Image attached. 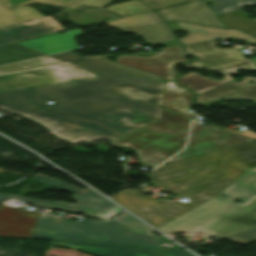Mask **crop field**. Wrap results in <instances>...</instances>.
<instances>
[{"instance_id":"26","label":"crop field","mask_w":256,"mask_h":256,"mask_svg":"<svg viewBox=\"0 0 256 256\" xmlns=\"http://www.w3.org/2000/svg\"><path fill=\"white\" fill-rule=\"evenodd\" d=\"M38 56L43 55L31 52L16 44H9L0 47V65Z\"/></svg>"},{"instance_id":"18","label":"crop field","mask_w":256,"mask_h":256,"mask_svg":"<svg viewBox=\"0 0 256 256\" xmlns=\"http://www.w3.org/2000/svg\"><path fill=\"white\" fill-rule=\"evenodd\" d=\"M51 246H64L98 256H156L138 248L117 245L52 241Z\"/></svg>"},{"instance_id":"16","label":"crop field","mask_w":256,"mask_h":256,"mask_svg":"<svg viewBox=\"0 0 256 256\" xmlns=\"http://www.w3.org/2000/svg\"><path fill=\"white\" fill-rule=\"evenodd\" d=\"M240 83L235 81L196 96V105H209L219 100L245 99L256 103V77L243 76ZM251 79L254 83L249 84Z\"/></svg>"},{"instance_id":"34","label":"crop field","mask_w":256,"mask_h":256,"mask_svg":"<svg viewBox=\"0 0 256 256\" xmlns=\"http://www.w3.org/2000/svg\"><path fill=\"white\" fill-rule=\"evenodd\" d=\"M227 30L230 32V34H231L233 37H235V38H237V39L247 40V41H249V42H251V43H253V44L256 43V39H255V38H253V37H251V36H249V35H247V34L241 32V31H239V30H237V29H227Z\"/></svg>"},{"instance_id":"19","label":"crop field","mask_w":256,"mask_h":256,"mask_svg":"<svg viewBox=\"0 0 256 256\" xmlns=\"http://www.w3.org/2000/svg\"><path fill=\"white\" fill-rule=\"evenodd\" d=\"M152 22L121 28L124 31H129L142 36L146 41L154 44L167 40L175 39L167 26L161 21L155 12L151 11L144 13Z\"/></svg>"},{"instance_id":"7","label":"crop field","mask_w":256,"mask_h":256,"mask_svg":"<svg viewBox=\"0 0 256 256\" xmlns=\"http://www.w3.org/2000/svg\"><path fill=\"white\" fill-rule=\"evenodd\" d=\"M96 76L73 64L0 75V91Z\"/></svg>"},{"instance_id":"40","label":"crop field","mask_w":256,"mask_h":256,"mask_svg":"<svg viewBox=\"0 0 256 256\" xmlns=\"http://www.w3.org/2000/svg\"><path fill=\"white\" fill-rule=\"evenodd\" d=\"M253 60V62L256 64V58H254V59H252Z\"/></svg>"},{"instance_id":"5","label":"crop field","mask_w":256,"mask_h":256,"mask_svg":"<svg viewBox=\"0 0 256 256\" xmlns=\"http://www.w3.org/2000/svg\"><path fill=\"white\" fill-rule=\"evenodd\" d=\"M211 45L214 46V40L187 44L184 45V47L187 52ZM189 54L196 56L198 60L185 64L186 68L217 70L225 75L223 81L212 80L194 72H190L186 76H180L178 84L194 90L196 95L233 81L234 79L228 74H237L238 72L236 71V68L256 71V66L253 64L252 60L244 59V55L239 49H218L214 46L189 52Z\"/></svg>"},{"instance_id":"6","label":"crop field","mask_w":256,"mask_h":256,"mask_svg":"<svg viewBox=\"0 0 256 256\" xmlns=\"http://www.w3.org/2000/svg\"><path fill=\"white\" fill-rule=\"evenodd\" d=\"M32 180H35L43 184L74 194L73 196H71V198L75 200L79 205H70L68 203H63V202H47V201H41L36 199L17 197L15 195L5 194V193H0V201L3 200L5 197H8V198H13L18 200H24V201H27L29 204L38 206V207H43L47 209L54 208V209L76 212V213L83 214L86 217L102 219V220L110 219L114 215L123 211L88 188L83 190L40 174H37ZM94 198H98V199L95 200Z\"/></svg>"},{"instance_id":"30","label":"crop field","mask_w":256,"mask_h":256,"mask_svg":"<svg viewBox=\"0 0 256 256\" xmlns=\"http://www.w3.org/2000/svg\"><path fill=\"white\" fill-rule=\"evenodd\" d=\"M139 248L161 255V256H193L189 252L182 249L147 248V247H139Z\"/></svg>"},{"instance_id":"17","label":"crop field","mask_w":256,"mask_h":256,"mask_svg":"<svg viewBox=\"0 0 256 256\" xmlns=\"http://www.w3.org/2000/svg\"><path fill=\"white\" fill-rule=\"evenodd\" d=\"M78 34H82V31L80 29H73L64 34H53L18 43L29 49L50 54L78 48L74 40V36Z\"/></svg>"},{"instance_id":"38","label":"crop field","mask_w":256,"mask_h":256,"mask_svg":"<svg viewBox=\"0 0 256 256\" xmlns=\"http://www.w3.org/2000/svg\"><path fill=\"white\" fill-rule=\"evenodd\" d=\"M7 200H9L8 198H5L3 201H1L0 203H4L6 202Z\"/></svg>"},{"instance_id":"9","label":"crop field","mask_w":256,"mask_h":256,"mask_svg":"<svg viewBox=\"0 0 256 256\" xmlns=\"http://www.w3.org/2000/svg\"><path fill=\"white\" fill-rule=\"evenodd\" d=\"M224 133H227V138L226 140H221L217 135ZM250 141L254 140L225 132L212 125H203L193 122L187 147L167 162Z\"/></svg>"},{"instance_id":"10","label":"crop field","mask_w":256,"mask_h":256,"mask_svg":"<svg viewBox=\"0 0 256 256\" xmlns=\"http://www.w3.org/2000/svg\"><path fill=\"white\" fill-rule=\"evenodd\" d=\"M163 53L182 52L181 46L161 49ZM116 62L134 69L152 73L162 77L164 81L176 80L177 72L173 70L176 63L186 62L182 54L156 55L155 57L141 58L139 56H119Z\"/></svg>"},{"instance_id":"12","label":"crop field","mask_w":256,"mask_h":256,"mask_svg":"<svg viewBox=\"0 0 256 256\" xmlns=\"http://www.w3.org/2000/svg\"><path fill=\"white\" fill-rule=\"evenodd\" d=\"M39 212L0 206V236L32 237Z\"/></svg>"},{"instance_id":"14","label":"crop field","mask_w":256,"mask_h":256,"mask_svg":"<svg viewBox=\"0 0 256 256\" xmlns=\"http://www.w3.org/2000/svg\"><path fill=\"white\" fill-rule=\"evenodd\" d=\"M157 12L164 21H184L224 27L203 0L158 10Z\"/></svg>"},{"instance_id":"20","label":"crop field","mask_w":256,"mask_h":256,"mask_svg":"<svg viewBox=\"0 0 256 256\" xmlns=\"http://www.w3.org/2000/svg\"><path fill=\"white\" fill-rule=\"evenodd\" d=\"M192 97L190 90L176 86L175 82L165 83L162 107L193 117L189 113V101Z\"/></svg>"},{"instance_id":"4","label":"crop field","mask_w":256,"mask_h":256,"mask_svg":"<svg viewBox=\"0 0 256 256\" xmlns=\"http://www.w3.org/2000/svg\"><path fill=\"white\" fill-rule=\"evenodd\" d=\"M191 119L162 108L160 120L111 141L110 145L129 146L136 151L139 164L154 168L184 146Z\"/></svg>"},{"instance_id":"32","label":"crop field","mask_w":256,"mask_h":256,"mask_svg":"<svg viewBox=\"0 0 256 256\" xmlns=\"http://www.w3.org/2000/svg\"><path fill=\"white\" fill-rule=\"evenodd\" d=\"M147 4L151 5L155 9L168 7L176 4H181L185 2H192L196 0H143Z\"/></svg>"},{"instance_id":"15","label":"crop field","mask_w":256,"mask_h":256,"mask_svg":"<svg viewBox=\"0 0 256 256\" xmlns=\"http://www.w3.org/2000/svg\"><path fill=\"white\" fill-rule=\"evenodd\" d=\"M64 29L51 16L0 28V46Z\"/></svg>"},{"instance_id":"28","label":"crop field","mask_w":256,"mask_h":256,"mask_svg":"<svg viewBox=\"0 0 256 256\" xmlns=\"http://www.w3.org/2000/svg\"><path fill=\"white\" fill-rule=\"evenodd\" d=\"M105 10L111 11L120 17H126V16H131V15L151 11V9H149L148 7H146L145 5H143L142 3L136 0L113 5L106 8Z\"/></svg>"},{"instance_id":"35","label":"crop field","mask_w":256,"mask_h":256,"mask_svg":"<svg viewBox=\"0 0 256 256\" xmlns=\"http://www.w3.org/2000/svg\"><path fill=\"white\" fill-rule=\"evenodd\" d=\"M223 129L230 130V131H233V132L245 135L247 137H254V138H256V133L246 132V131H242V130H231L229 128H223Z\"/></svg>"},{"instance_id":"23","label":"crop field","mask_w":256,"mask_h":256,"mask_svg":"<svg viewBox=\"0 0 256 256\" xmlns=\"http://www.w3.org/2000/svg\"><path fill=\"white\" fill-rule=\"evenodd\" d=\"M184 30L190 32L189 38L181 39L183 44L231 36L225 29H214L184 23H178Z\"/></svg>"},{"instance_id":"1","label":"crop field","mask_w":256,"mask_h":256,"mask_svg":"<svg viewBox=\"0 0 256 256\" xmlns=\"http://www.w3.org/2000/svg\"><path fill=\"white\" fill-rule=\"evenodd\" d=\"M163 86L122 74L97 76L1 92L0 107L71 142L114 140L160 118Z\"/></svg>"},{"instance_id":"37","label":"crop field","mask_w":256,"mask_h":256,"mask_svg":"<svg viewBox=\"0 0 256 256\" xmlns=\"http://www.w3.org/2000/svg\"><path fill=\"white\" fill-rule=\"evenodd\" d=\"M160 45L164 47H168V46L180 45V42L178 40H175V41H171V42L160 44Z\"/></svg>"},{"instance_id":"39","label":"crop field","mask_w":256,"mask_h":256,"mask_svg":"<svg viewBox=\"0 0 256 256\" xmlns=\"http://www.w3.org/2000/svg\"><path fill=\"white\" fill-rule=\"evenodd\" d=\"M4 171H5V170L0 169V175H2Z\"/></svg>"},{"instance_id":"2","label":"crop field","mask_w":256,"mask_h":256,"mask_svg":"<svg viewBox=\"0 0 256 256\" xmlns=\"http://www.w3.org/2000/svg\"><path fill=\"white\" fill-rule=\"evenodd\" d=\"M254 166L256 141L165 163L148 174L161 186V191H176L189 198L193 202L191 205L142 197L135 189L123 190L112 200L157 228L219 194ZM172 186L176 187L171 189ZM201 194L205 196L200 197Z\"/></svg>"},{"instance_id":"36","label":"crop field","mask_w":256,"mask_h":256,"mask_svg":"<svg viewBox=\"0 0 256 256\" xmlns=\"http://www.w3.org/2000/svg\"><path fill=\"white\" fill-rule=\"evenodd\" d=\"M173 32L183 31V29L176 22H168L167 23Z\"/></svg>"},{"instance_id":"33","label":"crop field","mask_w":256,"mask_h":256,"mask_svg":"<svg viewBox=\"0 0 256 256\" xmlns=\"http://www.w3.org/2000/svg\"><path fill=\"white\" fill-rule=\"evenodd\" d=\"M52 56L63 59V60H66V61H70V62H78V61H86V60H90V59H102L104 57H108V56H112V55L82 58V57L74 55L72 52L69 51V52L56 54V55H52Z\"/></svg>"},{"instance_id":"11","label":"crop field","mask_w":256,"mask_h":256,"mask_svg":"<svg viewBox=\"0 0 256 256\" xmlns=\"http://www.w3.org/2000/svg\"><path fill=\"white\" fill-rule=\"evenodd\" d=\"M254 226H256V196L247 204L239 206L199 231L227 238Z\"/></svg>"},{"instance_id":"24","label":"crop field","mask_w":256,"mask_h":256,"mask_svg":"<svg viewBox=\"0 0 256 256\" xmlns=\"http://www.w3.org/2000/svg\"><path fill=\"white\" fill-rule=\"evenodd\" d=\"M65 63H69V62H65L62 60L51 58L49 56H45V57H41V58H37V59H33V60L21 62V63L0 67V74L55 66V65L65 64Z\"/></svg>"},{"instance_id":"31","label":"crop field","mask_w":256,"mask_h":256,"mask_svg":"<svg viewBox=\"0 0 256 256\" xmlns=\"http://www.w3.org/2000/svg\"><path fill=\"white\" fill-rule=\"evenodd\" d=\"M240 244H247L256 240V227L251 228L243 233L227 238Z\"/></svg>"},{"instance_id":"21","label":"crop field","mask_w":256,"mask_h":256,"mask_svg":"<svg viewBox=\"0 0 256 256\" xmlns=\"http://www.w3.org/2000/svg\"><path fill=\"white\" fill-rule=\"evenodd\" d=\"M76 64H79V65H81L95 73L101 74V75L120 72V73L129 74V75L144 77V78H148V79L163 81L159 76L151 75V74L144 73V72H141L138 70H134V69H131L128 67H124V66L118 65L112 61H109L107 59L90 60V61H86V62H79Z\"/></svg>"},{"instance_id":"27","label":"crop field","mask_w":256,"mask_h":256,"mask_svg":"<svg viewBox=\"0 0 256 256\" xmlns=\"http://www.w3.org/2000/svg\"><path fill=\"white\" fill-rule=\"evenodd\" d=\"M79 1L81 0H0V5H2L6 10H13L19 6L34 3L69 7Z\"/></svg>"},{"instance_id":"3","label":"crop field","mask_w":256,"mask_h":256,"mask_svg":"<svg viewBox=\"0 0 256 256\" xmlns=\"http://www.w3.org/2000/svg\"><path fill=\"white\" fill-rule=\"evenodd\" d=\"M151 232V228L127 213L109 222L84 220L79 223L40 213L33 237L156 247L160 241Z\"/></svg>"},{"instance_id":"8","label":"crop field","mask_w":256,"mask_h":256,"mask_svg":"<svg viewBox=\"0 0 256 256\" xmlns=\"http://www.w3.org/2000/svg\"><path fill=\"white\" fill-rule=\"evenodd\" d=\"M221 195L222 194H219L213 197L204 204L198 205L199 207L157 229L165 233L170 230L195 232L222 217L237 206L248 202L240 199L241 201L239 203H235L233 201V199H235L234 197L227 196V198H223Z\"/></svg>"},{"instance_id":"22","label":"crop field","mask_w":256,"mask_h":256,"mask_svg":"<svg viewBox=\"0 0 256 256\" xmlns=\"http://www.w3.org/2000/svg\"><path fill=\"white\" fill-rule=\"evenodd\" d=\"M221 193L244 200H249L252 196L256 195V167L249 170L243 177Z\"/></svg>"},{"instance_id":"29","label":"crop field","mask_w":256,"mask_h":256,"mask_svg":"<svg viewBox=\"0 0 256 256\" xmlns=\"http://www.w3.org/2000/svg\"><path fill=\"white\" fill-rule=\"evenodd\" d=\"M148 21H150L148 18H146L143 14H140V15H135V16L115 20V21L106 22L105 24H107L112 28H121V27L135 25V24L144 23Z\"/></svg>"},{"instance_id":"13","label":"crop field","mask_w":256,"mask_h":256,"mask_svg":"<svg viewBox=\"0 0 256 256\" xmlns=\"http://www.w3.org/2000/svg\"><path fill=\"white\" fill-rule=\"evenodd\" d=\"M213 2L210 6L214 14L224 23L227 28H238L251 35L256 36V22L247 18L248 15L239 11L245 5L254 6L256 0H244L247 3H241L240 0H204Z\"/></svg>"},{"instance_id":"25","label":"crop field","mask_w":256,"mask_h":256,"mask_svg":"<svg viewBox=\"0 0 256 256\" xmlns=\"http://www.w3.org/2000/svg\"><path fill=\"white\" fill-rule=\"evenodd\" d=\"M44 17L34 8H20L14 12H8L0 7V27L29 21Z\"/></svg>"}]
</instances>
